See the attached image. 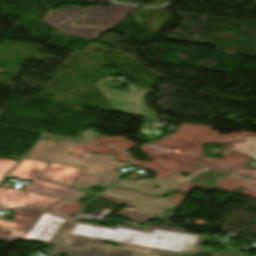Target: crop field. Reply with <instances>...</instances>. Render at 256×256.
<instances>
[{"instance_id":"crop-field-1","label":"crop field","mask_w":256,"mask_h":256,"mask_svg":"<svg viewBox=\"0 0 256 256\" xmlns=\"http://www.w3.org/2000/svg\"><path fill=\"white\" fill-rule=\"evenodd\" d=\"M200 239L201 235L185 233L182 228L150 227L147 231L118 225L107 229L74 222L61 244L83 249L89 243L105 246L101 242L109 241L119 243L123 250L181 255L198 253Z\"/></svg>"},{"instance_id":"crop-field-2","label":"crop field","mask_w":256,"mask_h":256,"mask_svg":"<svg viewBox=\"0 0 256 256\" xmlns=\"http://www.w3.org/2000/svg\"><path fill=\"white\" fill-rule=\"evenodd\" d=\"M74 144L65 140L60 143L42 140L27 158L86 168L73 185L76 189L91 185L111 186L120 176L114 170L129 165L114 161L113 155L85 153L79 160L70 154Z\"/></svg>"},{"instance_id":"crop-field-3","label":"crop field","mask_w":256,"mask_h":256,"mask_svg":"<svg viewBox=\"0 0 256 256\" xmlns=\"http://www.w3.org/2000/svg\"><path fill=\"white\" fill-rule=\"evenodd\" d=\"M138 8L120 4H114L110 8L99 6L88 8L69 7L48 11L40 22L64 34L96 40L102 33ZM77 12L85 14L81 16ZM75 21L83 24L76 26Z\"/></svg>"},{"instance_id":"crop-field-4","label":"crop field","mask_w":256,"mask_h":256,"mask_svg":"<svg viewBox=\"0 0 256 256\" xmlns=\"http://www.w3.org/2000/svg\"><path fill=\"white\" fill-rule=\"evenodd\" d=\"M71 222L72 219L44 212L29 231L0 226V241L10 243L15 240H32L57 245Z\"/></svg>"},{"instance_id":"crop-field-5","label":"crop field","mask_w":256,"mask_h":256,"mask_svg":"<svg viewBox=\"0 0 256 256\" xmlns=\"http://www.w3.org/2000/svg\"><path fill=\"white\" fill-rule=\"evenodd\" d=\"M46 165L45 162L25 159L8 176L34 180L35 183L24 186L26 192L46 194L71 201H76L86 195L69 187L37 180Z\"/></svg>"},{"instance_id":"crop-field-6","label":"crop field","mask_w":256,"mask_h":256,"mask_svg":"<svg viewBox=\"0 0 256 256\" xmlns=\"http://www.w3.org/2000/svg\"><path fill=\"white\" fill-rule=\"evenodd\" d=\"M112 82L102 80L99 87L111 100L117 109L129 114L157 118L155 113L143 105V98L148 91L138 88L135 85L128 84V91H118L110 89Z\"/></svg>"},{"instance_id":"crop-field-7","label":"crop field","mask_w":256,"mask_h":256,"mask_svg":"<svg viewBox=\"0 0 256 256\" xmlns=\"http://www.w3.org/2000/svg\"><path fill=\"white\" fill-rule=\"evenodd\" d=\"M70 201L0 187V206L4 208H41L54 212Z\"/></svg>"},{"instance_id":"crop-field-8","label":"crop field","mask_w":256,"mask_h":256,"mask_svg":"<svg viewBox=\"0 0 256 256\" xmlns=\"http://www.w3.org/2000/svg\"><path fill=\"white\" fill-rule=\"evenodd\" d=\"M105 194L134 202L129 205L144 212L160 214L172 203L168 199H157L139 194L133 190L111 189Z\"/></svg>"},{"instance_id":"crop-field-9","label":"crop field","mask_w":256,"mask_h":256,"mask_svg":"<svg viewBox=\"0 0 256 256\" xmlns=\"http://www.w3.org/2000/svg\"><path fill=\"white\" fill-rule=\"evenodd\" d=\"M183 182L185 181L182 178L176 175H173L166 179H146V180H137V182L120 180L115 184L114 187L131 188L138 192L144 193L146 195L159 196ZM154 185L160 186L162 188L159 190H156L152 188Z\"/></svg>"},{"instance_id":"crop-field-10","label":"crop field","mask_w":256,"mask_h":256,"mask_svg":"<svg viewBox=\"0 0 256 256\" xmlns=\"http://www.w3.org/2000/svg\"><path fill=\"white\" fill-rule=\"evenodd\" d=\"M83 171L82 168L49 163L39 179H47L71 187Z\"/></svg>"},{"instance_id":"crop-field-11","label":"crop field","mask_w":256,"mask_h":256,"mask_svg":"<svg viewBox=\"0 0 256 256\" xmlns=\"http://www.w3.org/2000/svg\"><path fill=\"white\" fill-rule=\"evenodd\" d=\"M61 252L67 253L71 256H152L113 250L95 245H89L85 250L59 246L55 254H59Z\"/></svg>"},{"instance_id":"crop-field-12","label":"crop field","mask_w":256,"mask_h":256,"mask_svg":"<svg viewBox=\"0 0 256 256\" xmlns=\"http://www.w3.org/2000/svg\"><path fill=\"white\" fill-rule=\"evenodd\" d=\"M193 167L195 168H200L199 170L193 172V173H187V172H181V171H174V173L180 177H182L183 179H185L186 181L211 169V170H215V171H221V172H225V173H229V174H233L235 176H239V177H243V178H247V179H256V171H252V170H247V169H243V170H239V169H234V168H230V167H225V166H221V165H217V164H205V163H201L198 162L196 165H194ZM180 173H184L187 175H192L189 178H184L183 176L180 175ZM249 173H252L249 174Z\"/></svg>"},{"instance_id":"crop-field-13","label":"crop field","mask_w":256,"mask_h":256,"mask_svg":"<svg viewBox=\"0 0 256 256\" xmlns=\"http://www.w3.org/2000/svg\"><path fill=\"white\" fill-rule=\"evenodd\" d=\"M222 143L223 155L228 153V150L238 151L242 154L253 157L256 161V138L247 137H236L235 139H224ZM226 144V146H224Z\"/></svg>"},{"instance_id":"crop-field-14","label":"crop field","mask_w":256,"mask_h":256,"mask_svg":"<svg viewBox=\"0 0 256 256\" xmlns=\"http://www.w3.org/2000/svg\"><path fill=\"white\" fill-rule=\"evenodd\" d=\"M14 212V223L1 221L3 217L0 216V225L29 230L36 222L38 217L44 212L40 210H6Z\"/></svg>"},{"instance_id":"crop-field-15","label":"crop field","mask_w":256,"mask_h":256,"mask_svg":"<svg viewBox=\"0 0 256 256\" xmlns=\"http://www.w3.org/2000/svg\"><path fill=\"white\" fill-rule=\"evenodd\" d=\"M226 177H228V175H226V174L208 171V172L198 176L197 178L193 179L189 183L195 182V183H199L204 186L212 188ZM235 178H237V177H235ZM239 179H241V178H239ZM243 180H246V179H243ZM247 181H250V180H247ZM251 182L256 183V181H251Z\"/></svg>"},{"instance_id":"crop-field-16","label":"crop field","mask_w":256,"mask_h":256,"mask_svg":"<svg viewBox=\"0 0 256 256\" xmlns=\"http://www.w3.org/2000/svg\"><path fill=\"white\" fill-rule=\"evenodd\" d=\"M118 214L121 216L127 217L135 222H145V221L155 217V215L147 214V213L141 212V211L133 209V208L131 209L129 207L125 208L123 211H121ZM131 215H133V217H131Z\"/></svg>"},{"instance_id":"crop-field-17","label":"crop field","mask_w":256,"mask_h":256,"mask_svg":"<svg viewBox=\"0 0 256 256\" xmlns=\"http://www.w3.org/2000/svg\"><path fill=\"white\" fill-rule=\"evenodd\" d=\"M79 135H81L82 137L79 138L78 140L79 141H84V142H87V143H90V142H92V141H94V140L103 136V135H101V134H99V133H97L93 130H90V129H88L87 131H85V132H83Z\"/></svg>"},{"instance_id":"crop-field-18","label":"crop field","mask_w":256,"mask_h":256,"mask_svg":"<svg viewBox=\"0 0 256 256\" xmlns=\"http://www.w3.org/2000/svg\"><path fill=\"white\" fill-rule=\"evenodd\" d=\"M16 164L17 163L15 162L0 160V181L4 177V175Z\"/></svg>"},{"instance_id":"crop-field-19","label":"crop field","mask_w":256,"mask_h":256,"mask_svg":"<svg viewBox=\"0 0 256 256\" xmlns=\"http://www.w3.org/2000/svg\"><path fill=\"white\" fill-rule=\"evenodd\" d=\"M212 256H220V255H212Z\"/></svg>"}]
</instances>
